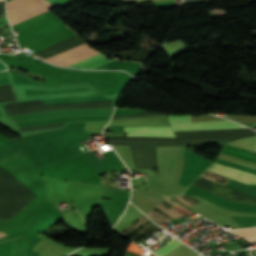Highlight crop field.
I'll use <instances>...</instances> for the list:
<instances>
[{
  "label": "crop field",
  "mask_w": 256,
  "mask_h": 256,
  "mask_svg": "<svg viewBox=\"0 0 256 256\" xmlns=\"http://www.w3.org/2000/svg\"><path fill=\"white\" fill-rule=\"evenodd\" d=\"M34 196L11 174L0 168V218L9 219L20 211Z\"/></svg>",
  "instance_id": "1"
},
{
  "label": "crop field",
  "mask_w": 256,
  "mask_h": 256,
  "mask_svg": "<svg viewBox=\"0 0 256 256\" xmlns=\"http://www.w3.org/2000/svg\"><path fill=\"white\" fill-rule=\"evenodd\" d=\"M54 7L45 0H10L7 2V15L13 25Z\"/></svg>",
  "instance_id": "2"
},
{
  "label": "crop field",
  "mask_w": 256,
  "mask_h": 256,
  "mask_svg": "<svg viewBox=\"0 0 256 256\" xmlns=\"http://www.w3.org/2000/svg\"><path fill=\"white\" fill-rule=\"evenodd\" d=\"M173 131L222 130L245 128L228 120L191 123L190 115L168 116Z\"/></svg>",
  "instance_id": "3"
},
{
  "label": "crop field",
  "mask_w": 256,
  "mask_h": 256,
  "mask_svg": "<svg viewBox=\"0 0 256 256\" xmlns=\"http://www.w3.org/2000/svg\"><path fill=\"white\" fill-rule=\"evenodd\" d=\"M212 161L187 150L184 147L183 167L178 184L187 187Z\"/></svg>",
  "instance_id": "4"
},
{
  "label": "crop field",
  "mask_w": 256,
  "mask_h": 256,
  "mask_svg": "<svg viewBox=\"0 0 256 256\" xmlns=\"http://www.w3.org/2000/svg\"><path fill=\"white\" fill-rule=\"evenodd\" d=\"M96 53H98L97 50L90 48L88 46V44L84 43V44L77 46L73 49H70V50L65 51L61 54H58L54 57H51L45 61L53 63L58 66H66L68 64H71L73 62H76L78 60H81L83 58H86V57L91 56ZM33 56H35V55H33ZM35 57H37V56H35ZM37 58H39V57H37ZM39 59H41V58H39Z\"/></svg>",
  "instance_id": "5"
},
{
  "label": "crop field",
  "mask_w": 256,
  "mask_h": 256,
  "mask_svg": "<svg viewBox=\"0 0 256 256\" xmlns=\"http://www.w3.org/2000/svg\"><path fill=\"white\" fill-rule=\"evenodd\" d=\"M113 109H77V110H56L44 111L32 114L13 116L15 121L39 119L63 115H90V114H111Z\"/></svg>",
  "instance_id": "6"
},
{
  "label": "crop field",
  "mask_w": 256,
  "mask_h": 256,
  "mask_svg": "<svg viewBox=\"0 0 256 256\" xmlns=\"http://www.w3.org/2000/svg\"><path fill=\"white\" fill-rule=\"evenodd\" d=\"M207 170L239 180L249 184H256V174L236 170L231 167L213 163Z\"/></svg>",
  "instance_id": "7"
},
{
  "label": "crop field",
  "mask_w": 256,
  "mask_h": 256,
  "mask_svg": "<svg viewBox=\"0 0 256 256\" xmlns=\"http://www.w3.org/2000/svg\"><path fill=\"white\" fill-rule=\"evenodd\" d=\"M127 136L175 137L170 127H125Z\"/></svg>",
  "instance_id": "8"
},
{
  "label": "crop field",
  "mask_w": 256,
  "mask_h": 256,
  "mask_svg": "<svg viewBox=\"0 0 256 256\" xmlns=\"http://www.w3.org/2000/svg\"><path fill=\"white\" fill-rule=\"evenodd\" d=\"M108 62H110V60H108L102 54L98 53L96 55H93L91 57H88L86 59L78 61L76 63H73L71 65H68L66 67L81 68V69H94V68L101 66L103 64H106Z\"/></svg>",
  "instance_id": "9"
},
{
  "label": "crop field",
  "mask_w": 256,
  "mask_h": 256,
  "mask_svg": "<svg viewBox=\"0 0 256 256\" xmlns=\"http://www.w3.org/2000/svg\"><path fill=\"white\" fill-rule=\"evenodd\" d=\"M228 144L231 146H234V147L243 148V149H246V150L256 153V136L236 140V141H233Z\"/></svg>",
  "instance_id": "10"
},
{
  "label": "crop field",
  "mask_w": 256,
  "mask_h": 256,
  "mask_svg": "<svg viewBox=\"0 0 256 256\" xmlns=\"http://www.w3.org/2000/svg\"><path fill=\"white\" fill-rule=\"evenodd\" d=\"M233 232L237 233L238 235L246 239L248 242H256V228L233 230Z\"/></svg>",
  "instance_id": "11"
},
{
  "label": "crop field",
  "mask_w": 256,
  "mask_h": 256,
  "mask_svg": "<svg viewBox=\"0 0 256 256\" xmlns=\"http://www.w3.org/2000/svg\"><path fill=\"white\" fill-rule=\"evenodd\" d=\"M180 244H182V243H180L178 240H176L174 238L171 242L165 244L164 246H162L160 249H158L154 253H156L159 256H164Z\"/></svg>",
  "instance_id": "12"
},
{
  "label": "crop field",
  "mask_w": 256,
  "mask_h": 256,
  "mask_svg": "<svg viewBox=\"0 0 256 256\" xmlns=\"http://www.w3.org/2000/svg\"><path fill=\"white\" fill-rule=\"evenodd\" d=\"M135 195V194H134ZM139 196V195H138ZM142 197H144V196H142ZM146 198H148V197H146ZM149 199H153V198H149ZM153 200H157V199H153ZM158 201V200H157Z\"/></svg>",
  "instance_id": "13"
},
{
  "label": "crop field",
  "mask_w": 256,
  "mask_h": 256,
  "mask_svg": "<svg viewBox=\"0 0 256 256\" xmlns=\"http://www.w3.org/2000/svg\"><path fill=\"white\" fill-rule=\"evenodd\" d=\"M0 1H3V0H0Z\"/></svg>",
  "instance_id": "14"
}]
</instances>
